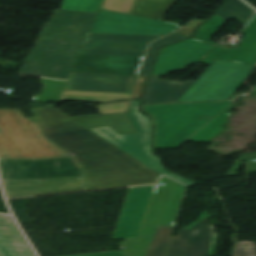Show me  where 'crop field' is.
Wrapping results in <instances>:
<instances>
[{
	"label": "crop field",
	"instance_id": "obj_12",
	"mask_svg": "<svg viewBox=\"0 0 256 256\" xmlns=\"http://www.w3.org/2000/svg\"><path fill=\"white\" fill-rule=\"evenodd\" d=\"M211 47L212 45L193 38L164 46L151 75L165 76L167 72L186 68L188 64L198 62Z\"/></svg>",
	"mask_w": 256,
	"mask_h": 256
},
{
	"label": "crop field",
	"instance_id": "obj_36",
	"mask_svg": "<svg viewBox=\"0 0 256 256\" xmlns=\"http://www.w3.org/2000/svg\"><path fill=\"white\" fill-rule=\"evenodd\" d=\"M145 78H146V77L139 76L138 82H137V84H136V88H135V92H134L133 98H137V97L139 96L140 91H141L142 86H143V83H144V81H145ZM133 98H132V99H133Z\"/></svg>",
	"mask_w": 256,
	"mask_h": 256
},
{
	"label": "crop field",
	"instance_id": "obj_25",
	"mask_svg": "<svg viewBox=\"0 0 256 256\" xmlns=\"http://www.w3.org/2000/svg\"><path fill=\"white\" fill-rule=\"evenodd\" d=\"M131 94L98 93V92H74L63 91L59 101L79 100L88 102H108L121 99H129Z\"/></svg>",
	"mask_w": 256,
	"mask_h": 256
},
{
	"label": "crop field",
	"instance_id": "obj_16",
	"mask_svg": "<svg viewBox=\"0 0 256 256\" xmlns=\"http://www.w3.org/2000/svg\"><path fill=\"white\" fill-rule=\"evenodd\" d=\"M242 34L245 36L237 49L215 46L201 63L210 65L215 59H220L250 65L256 64V16Z\"/></svg>",
	"mask_w": 256,
	"mask_h": 256
},
{
	"label": "crop field",
	"instance_id": "obj_37",
	"mask_svg": "<svg viewBox=\"0 0 256 256\" xmlns=\"http://www.w3.org/2000/svg\"><path fill=\"white\" fill-rule=\"evenodd\" d=\"M206 216V213L205 211H201L200 215L198 216V218L193 221L192 223H190L189 225L187 226H183L182 228H185V229H189L191 228L193 225H195L197 222H199L201 219H203L204 217Z\"/></svg>",
	"mask_w": 256,
	"mask_h": 256
},
{
	"label": "crop field",
	"instance_id": "obj_35",
	"mask_svg": "<svg viewBox=\"0 0 256 256\" xmlns=\"http://www.w3.org/2000/svg\"><path fill=\"white\" fill-rule=\"evenodd\" d=\"M202 20L195 19L193 22H191L186 28L177 31L179 33L185 34L187 36L191 35L192 31L195 29V27L201 22Z\"/></svg>",
	"mask_w": 256,
	"mask_h": 256
},
{
	"label": "crop field",
	"instance_id": "obj_4",
	"mask_svg": "<svg viewBox=\"0 0 256 256\" xmlns=\"http://www.w3.org/2000/svg\"><path fill=\"white\" fill-rule=\"evenodd\" d=\"M160 183H165V186H155L138 238L119 243L125 256H144L158 225L173 226L185 186L167 177H163Z\"/></svg>",
	"mask_w": 256,
	"mask_h": 256
},
{
	"label": "crop field",
	"instance_id": "obj_10",
	"mask_svg": "<svg viewBox=\"0 0 256 256\" xmlns=\"http://www.w3.org/2000/svg\"><path fill=\"white\" fill-rule=\"evenodd\" d=\"M158 37L88 34L79 53L142 57L148 42Z\"/></svg>",
	"mask_w": 256,
	"mask_h": 256
},
{
	"label": "crop field",
	"instance_id": "obj_8",
	"mask_svg": "<svg viewBox=\"0 0 256 256\" xmlns=\"http://www.w3.org/2000/svg\"><path fill=\"white\" fill-rule=\"evenodd\" d=\"M2 180H40L82 176L70 158L44 161L0 160Z\"/></svg>",
	"mask_w": 256,
	"mask_h": 256
},
{
	"label": "crop field",
	"instance_id": "obj_20",
	"mask_svg": "<svg viewBox=\"0 0 256 256\" xmlns=\"http://www.w3.org/2000/svg\"><path fill=\"white\" fill-rule=\"evenodd\" d=\"M205 124L155 126L154 148L177 147Z\"/></svg>",
	"mask_w": 256,
	"mask_h": 256
},
{
	"label": "crop field",
	"instance_id": "obj_34",
	"mask_svg": "<svg viewBox=\"0 0 256 256\" xmlns=\"http://www.w3.org/2000/svg\"><path fill=\"white\" fill-rule=\"evenodd\" d=\"M72 256H124L122 250L117 251H108V252H99V253H90V254H81V255H72Z\"/></svg>",
	"mask_w": 256,
	"mask_h": 256
},
{
	"label": "crop field",
	"instance_id": "obj_28",
	"mask_svg": "<svg viewBox=\"0 0 256 256\" xmlns=\"http://www.w3.org/2000/svg\"><path fill=\"white\" fill-rule=\"evenodd\" d=\"M185 37H187V36L179 34L177 32H174V33H172V34H170V35H168V36H166V37H164L160 40H157V41L151 43L150 46H149V50H148V53L146 55L142 70H141L139 75H143V76L147 75V72H148L150 63L152 61L153 55H154V53H155V51H156V49L158 48L159 45L171 43V42L177 41V40L185 38Z\"/></svg>",
	"mask_w": 256,
	"mask_h": 256
},
{
	"label": "crop field",
	"instance_id": "obj_1",
	"mask_svg": "<svg viewBox=\"0 0 256 256\" xmlns=\"http://www.w3.org/2000/svg\"><path fill=\"white\" fill-rule=\"evenodd\" d=\"M45 139L67 154L89 190L156 183L159 174L54 107L31 110Z\"/></svg>",
	"mask_w": 256,
	"mask_h": 256
},
{
	"label": "crop field",
	"instance_id": "obj_15",
	"mask_svg": "<svg viewBox=\"0 0 256 256\" xmlns=\"http://www.w3.org/2000/svg\"><path fill=\"white\" fill-rule=\"evenodd\" d=\"M135 77L71 73L63 90L131 93Z\"/></svg>",
	"mask_w": 256,
	"mask_h": 256
},
{
	"label": "crop field",
	"instance_id": "obj_38",
	"mask_svg": "<svg viewBox=\"0 0 256 256\" xmlns=\"http://www.w3.org/2000/svg\"><path fill=\"white\" fill-rule=\"evenodd\" d=\"M254 89H256V87Z\"/></svg>",
	"mask_w": 256,
	"mask_h": 256
},
{
	"label": "crop field",
	"instance_id": "obj_14",
	"mask_svg": "<svg viewBox=\"0 0 256 256\" xmlns=\"http://www.w3.org/2000/svg\"><path fill=\"white\" fill-rule=\"evenodd\" d=\"M141 59L79 54L71 72L136 75Z\"/></svg>",
	"mask_w": 256,
	"mask_h": 256
},
{
	"label": "crop field",
	"instance_id": "obj_17",
	"mask_svg": "<svg viewBox=\"0 0 256 256\" xmlns=\"http://www.w3.org/2000/svg\"><path fill=\"white\" fill-rule=\"evenodd\" d=\"M173 229L159 226L145 256H186L188 230L181 229L175 238L171 237Z\"/></svg>",
	"mask_w": 256,
	"mask_h": 256
},
{
	"label": "crop field",
	"instance_id": "obj_21",
	"mask_svg": "<svg viewBox=\"0 0 256 256\" xmlns=\"http://www.w3.org/2000/svg\"><path fill=\"white\" fill-rule=\"evenodd\" d=\"M87 128L110 126L120 134L136 133L125 113L72 118Z\"/></svg>",
	"mask_w": 256,
	"mask_h": 256
},
{
	"label": "crop field",
	"instance_id": "obj_29",
	"mask_svg": "<svg viewBox=\"0 0 256 256\" xmlns=\"http://www.w3.org/2000/svg\"><path fill=\"white\" fill-rule=\"evenodd\" d=\"M226 20L214 16L210 21L202 24L193 38H196L198 40L207 42L209 44L214 45L215 43L210 42L208 39L216 32V30L225 22Z\"/></svg>",
	"mask_w": 256,
	"mask_h": 256
},
{
	"label": "crop field",
	"instance_id": "obj_27",
	"mask_svg": "<svg viewBox=\"0 0 256 256\" xmlns=\"http://www.w3.org/2000/svg\"><path fill=\"white\" fill-rule=\"evenodd\" d=\"M65 83L43 78L41 84H45V87L41 95L34 96L32 100L40 102L58 101Z\"/></svg>",
	"mask_w": 256,
	"mask_h": 256
},
{
	"label": "crop field",
	"instance_id": "obj_11",
	"mask_svg": "<svg viewBox=\"0 0 256 256\" xmlns=\"http://www.w3.org/2000/svg\"><path fill=\"white\" fill-rule=\"evenodd\" d=\"M155 185L129 188L113 239L137 237Z\"/></svg>",
	"mask_w": 256,
	"mask_h": 256
},
{
	"label": "crop field",
	"instance_id": "obj_13",
	"mask_svg": "<svg viewBox=\"0 0 256 256\" xmlns=\"http://www.w3.org/2000/svg\"><path fill=\"white\" fill-rule=\"evenodd\" d=\"M2 183L7 198L88 190L82 177Z\"/></svg>",
	"mask_w": 256,
	"mask_h": 256
},
{
	"label": "crop field",
	"instance_id": "obj_7",
	"mask_svg": "<svg viewBox=\"0 0 256 256\" xmlns=\"http://www.w3.org/2000/svg\"><path fill=\"white\" fill-rule=\"evenodd\" d=\"M178 28L175 23L98 10L88 33L165 35Z\"/></svg>",
	"mask_w": 256,
	"mask_h": 256
},
{
	"label": "crop field",
	"instance_id": "obj_19",
	"mask_svg": "<svg viewBox=\"0 0 256 256\" xmlns=\"http://www.w3.org/2000/svg\"><path fill=\"white\" fill-rule=\"evenodd\" d=\"M9 216L0 213V256H33Z\"/></svg>",
	"mask_w": 256,
	"mask_h": 256
},
{
	"label": "crop field",
	"instance_id": "obj_24",
	"mask_svg": "<svg viewBox=\"0 0 256 256\" xmlns=\"http://www.w3.org/2000/svg\"><path fill=\"white\" fill-rule=\"evenodd\" d=\"M222 1H224L226 4L221 7L215 14L226 20H231L234 18L245 25L255 12L244 3H242L240 0Z\"/></svg>",
	"mask_w": 256,
	"mask_h": 256
},
{
	"label": "crop field",
	"instance_id": "obj_6",
	"mask_svg": "<svg viewBox=\"0 0 256 256\" xmlns=\"http://www.w3.org/2000/svg\"><path fill=\"white\" fill-rule=\"evenodd\" d=\"M139 100L131 101L128 117L135 127L137 134L131 135H119L110 127L93 128L90 129L96 134L100 135L104 139L108 140L112 144L116 145L120 149L124 150L131 156L135 157L145 165L149 166L158 173L167 174L187 185L195 184L188 181L178 175L170 174L166 172L160 165V161L157 157L150 153L149 147V134H150V122L149 118L139 113L137 105Z\"/></svg>",
	"mask_w": 256,
	"mask_h": 256
},
{
	"label": "crop field",
	"instance_id": "obj_33",
	"mask_svg": "<svg viewBox=\"0 0 256 256\" xmlns=\"http://www.w3.org/2000/svg\"><path fill=\"white\" fill-rule=\"evenodd\" d=\"M127 103L128 102L98 106V108L100 114L125 112Z\"/></svg>",
	"mask_w": 256,
	"mask_h": 256
},
{
	"label": "crop field",
	"instance_id": "obj_3",
	"mask_svg": "<svg viewBox=\"0 0 256 256\" xmlns=\"http://www.w3.org/2000/svg\"><path fill=\"white\" fill-rule=\"evenodd\" d=\"M66 156L41 134L34 118L23 119L19 109L0 110V158Z\"/></svg>",
	"mask_w": 256,
	"mask_h": 256
},
{
	"label": "crop field",
	"instance_id": "obj_23",
	"mask_svg": "<svg viewBox=\"0 0 256 256\" xmlns=\"http://www.w3.org/2000/svg\"><path fill=\"white\" fill-rule=\"evenodd\" d=\"M177 0H137L131 14L161 20Z\"/></svg>",
	"mask_w": 256,
	"mask_h": 256
},
{
	"label": "crop field",
	"instance_id": "obj_30",
	"mask_svg": "<svg viewBox=\"0 0 256 256\" xmlns=\"http://www.w3.org/2000/svg\"><path fill=\"white\" fill-rule=\"evenodd\" d=\"M135 1L136 0H103L99 9L129 14Z\"/></svg>",
	"mask_w": 256,
	"mask_h": 256
},
{
	"label": "crop field",
	"instance_id": "obj_22",
	"mask_svg": "<svg viewBox=\"0 0 256 256\" xmlns=\"http://www.w3.org/2000/svg\"><path fill=\"white\" fill-rule=\"evenodd\" d=\"M211 234L207 219L189 229L187 256H208Z\"/></svg>",
	"mask_w": 256,
	"mask_h": 256
},
{
	"label": "crop field",
	"instance_id": "obj_32",
	"mask_svg": "<svg viewBox=\"0 0 256 256\" xmlns=\"http://www.w3.org/2000/svg\"><path fill=\"white\" fill-rule=\"evenodd\" d=\"M233 256H256L255 241L236 242Z\"/></svg>",
	"mask_w": 256,
	"mask_h": 256
},
{
	"label": "crop field",
	"instance_id": "obj_18",
	"mask_svg": "<svg viewBox=\"0 0 256 256\" xmlns=\"http://www.w3.org/2000/svg\"><path fill=\"white\" fill-rule=\"evenodd\" d=\"M193 82H173L151 76L144 92L143 104L176 102Z\"/></svg>",
	"mask_w": 256,
	"mask_h": 256
},
{
	"label": "crop field",
	"instance_id": "obj_5",
	"mask_svg": "<svg viewBox=\"0 0 256 256\" xmlns=\"http://www.w3.org/2000/svg\"><path fill=\"white\" fill-rule=\"evenodd\" d=\"M254 67L215 60L177 102L227 100Z\"/></svg>",
	"mask_w": 256,
	"mask_h": 256
},
{
	"label": "crop field",
	"instance_id": "obj_2",
	"mask_svg": "<svg viewBox=\"0 0 256 256\" xmlns=\"http://www.w3.org/2000/svg\"><path fill=\"white\" fill-rule=\"evenodd\" d=\"M95 14L56 10L19 74L66 81Z\"/></svg>",
	"mask_w": 256,
	"mask_h": 256
},
{
	"label": "crop field",
	"instance_id": "obj_31",
	"mask_svg": "<svg viewBox=\"0 0 256 256\" xmlns=\"http://www.w3.org/2000/svg\"><path fill=\"white\" fill-rule=\"evenodd\" d=\"M247 160L248 161V173L251 172H256V152L255 153H248V154H243L240 155L236 163L233 165L231 170L229 171L228 175L235 174L237 169L240 167L243 161Z\"/></svg>",
	"mask_w": 256,
	"mask_h": 256
},
{
	"label": "crop field",
	"instance_id": "obj_39",
	"mask_svg": "<svg viewBox=\"0 0 256 256\" xmlns=\"http://www.w3.org/2000/svg\"><path fill=\"white\" fill-rule=\"evenodd\" d=\"M256 93V91H254Z\"/></svg>",
	"mask_w": 256,
	"mask_h": 256
},
{
	"label": "crop field",
	"instance_id": "obj_9",
	"mask_svg": "<svg viewBox=\"0 0 256 256\" xmlns=\"http://www.w3.org/2000/svg\"><path fill=\"white\" fill-rule=\"evenodd\" d=\"M232 101L143 106L155 124L208 123Z\"/></svg>",
	"mask_w": 256,
	"mask_h": 256
},
{
	"label": "crop field",
	"instance_id": "obj_26",
	"mask_svg": "<svg viewBox=\"0 0 256 256\" xmlns=\"http://www.w3.org/2000/svg\"><path fill=\"white\" fill-rule=\"evenodd\" d=\"M234 103L226 108L223 112H221L217 117H215L211 122L206 124L204 127H202L197 133H195L191 138H189V141L194 142H207L212 137H214L217 133H219L222 128V124L227 120L226 117L230 114H228L226 111L231 108Z\"/></svg>",
	"mask_w": 256,
	"mask_h": 256
}]
</instances>
